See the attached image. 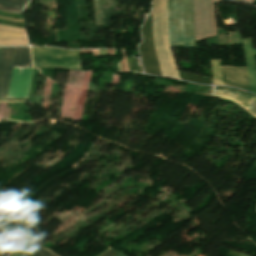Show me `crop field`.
I'll return each mask as SVG.
<instances>
[{"mask_svg":"<svg viewBox=\"0 0 256 256\" xmlns=\"http://www.w3.org/2000/svg\"><path fill=\"white\" fill-rule=\"evenodd\" d=\"M142 37L144 42L138 46L141 55L144 70L149 74L162 75L152 33V18L151 13L145 24L141 27Z\"/></svg>","mask_w":256,"mask_h":256,"instance_id":"5","label":"crop field"},{"mask_svg":"<svg viewBox=\"0 0 256 256\" xmlns=\"http://www.w3.org/2000/svg\"><path fill=\"white\" fill-rule=\"evenodd\" d=\"M33 68L13 67L7 98H27Z\"/></svg>","mask_w":256,"mask_h":256,"instance_id":"6","label":"crop field"},{"mask_svg":"<svg viewBox=\"0 0 256 256\" xmlns=\"http://www.w3.org/2000/svg\"><path fill=\"white\" fill-rule=\"evenodd\" d=\"M115 54H117L116 50H114Z\"/></svg>","mask_w":256,"mask_h":256,"instance_id":"22","label":"crop field"},{"mask_svg":"<svg viewBox=\"0 0 256 256\" xmlns=\"http://www.w3.org/2000/svg\"><path fill=\"white\" fill-rule=\"evenodd\" d=\"M213 95L233 99L248 110L255 97L232 89H216Z\"/></svg>","mask_w":256,"mask_h":256,"instance_id":"10","label":"crop field"},{"mask_svg":"<svg viewBox=\"0 0 256 256\" xmlns=\"http://www.w3.org/2000/svg\"><path fill=\"white\" fill-rule=\"evenodd\" d=\"M171 46L196 47L193 33L191 0H166Z\"/></svg>","mask_w":256,"mask_h":256,"instance_id":"1","label":"crop field"},{"mask_svg":"<svg viewBox=\"0 0 256 256\" xmlns=\"http://www.w3.org/2000/svg\"><path fill=\"white\" fill-rule=\"evenodd\" d=\"M246 66L248 71L250 89L252 93L256 94V67L254 55L256 50H253L252 38L242 39Z\"/></svg>","mask_w":256,"mask_h":256,"instance_id":"9","label":"crop field"},{"mask_svg":"<svg viewBox=\"0 0 256 256\" xmlns=\"http://www.w3.org/2000/svg\"><path fill=\"white\" fill-rule=\"evenodd\" d=\"M0 45H28L24 29L0 25Z\"/></svg>","mask_w":256,"mask_h":256,"instance_id":"8","label":"crop field"},{"mask_svg":"<svg viewBox=\"0 0 256 256\" xmlns=\"http://www.w3.org/2000/svg\"><path fill=\"white\" fill-rule=\"evenodd\" d=\"M152 18L154 42L162 74L179 79L175 58L168 41L165 0H153Z\"/></svg>","mask_w":256,"mask_h":256,"instance_id":"2","label":"crop field"},{"mask_svg":"<svg viewBox=\"0 0 256 256\" xmlns=\"http://www.w3.org/2000/svg\"><path fill=\"white\" fill-rule=\"evenodd\" d=\"M224 85L249 90L246 68L221 67Z\"/></svg>","mask_w":256,"mask_h":256,"instance_id":"7","label":"crop field"},{"mask_svg":"<svg viewBox=\"0 0 256 256\" xmlns=\"http://www.w3.org/2000/svg\"><path fill=\"white\" fill-rule=\"evenodd\" d=\"M36 249L37 246L21 240L11 256H32Z\"/></svg>","mask_w":256,"mask_h":256,"instance_id":"12","label":"crop field"},{"mask_svg":"<svg viewBox=\"0 0 256 256\" xmlns=\"http://www.w3.org/2000/svg\"><path fill=\"white\" fill-rule=\"evenodd\" d=\"M0 11L14 13V14H22V9L16 8L13 6L5 5L0 3Z\"/></svg>","mask_w":256,"mask_h":256,"instance_id":"14","label":"crop field"},{"mask_svg":"<svg viewBox=\"0 0 256 256\" xmlns=\"http://www.w3.org/2000/svg\"><path fill=\"white\" fill-rule=\"evenodd\" d=\"M33 66L79 69V50L31 47Z\"/></svg>","mask_w":256,"mask_h":256,"instance_id":"3","label":"crop field"},{"mask_svg":"<svg viewBox=\"0 0 256 256\" xmlns=\"http://www.w3.org/2000/svg\"><path fill=\"white\" fill-rule=\"evenodd\" d=\"M52 253L38 247L35 254L33 256H51Z\"/></svg>","mask_w":256,"mask_h":256,"instance_id":"16","label":"crop field"},{"mask_svg":"<svg viewBox=\"0 0 256 256\" xmlns=\"http://www.w3.org/2000/svg\"><path fill=\"white\" fill-rule=\"evenodd\" d=\"M19 238L5 232L0 228V256H7Z\"/></svg>","mask_w":256,"mask_h":256,"instance_id":"11","label":"crop field"},{"mask_svg":"<svg viewBox=\"0 0 256 256\" xmlns=\"http://www.w3.org/2000/svg\"><path fill=\"white\" fill-rule=\"evenodd\" d=\"M100 55L107 54L106 50H99Z\"/></svg>","mask_w":256,"mask_h":256,"instance_id":"19","label":"crop field"},{"mask_svg":"<svg viewBox=\"0 0 256 256\" xmlns=\"http://www.w3.org/2000/svg\"><path fill=\"white\" fill-rule=\"evenodd\" d=\"M117 70H120V62L117 64Z\"/></svg>","mask_w":256,"mask_h":256,"instance_id":"20","label":"crop field"},{"mask_svg":"<svg viewBox=\"0 0 256 256\" xmlns=\"http://www.w3.org/2000/svg\"><path fill=\"white\" fill-rule=\"evenodd\" d=\"M213 80L215 85H223L221 70H220V61H211Z\"/></svg>","mask_w":256,"mask_h":256,"instance_id":"13","label":"crop field"},{"mask_svg":"<svg viewBox=\"0 0 256 256\" xmlns=\"http://www.w3.org/2000/svg\"><path fill=\"white\" fill-rule=\"evenodd\" d=\"M252 114H254L256 116V102L254 101V103L251 105V107L249 108V110Z\"/></svg>","mask_w":256,"mask_h":256,"instance_id":"18","label":"crop field"},{"mask_svg":"<svg viewBox=\"0 0 256 256\" xmlns=\"http://www.w3.org/2000/svg\"><path fill=\"white\" fill-rule=\"evenodd\" d=\"M116 256H125V255H124V254L119 253V254H117Z\"/></svg>","mask_w":256,"mask_h":256,"instance_id":"21","label":"crop field"},{"mask_svg":"<svg viewBox=\"0 0 256 256\" xmlns=\"http://www.w3.org/2000/svg\"><path fill=\"white\" fill-rule=\"evenodd\" d=\"M118 252L114 251V250H108L106 251L105 253H103L102 255L100 256H114L116 255Z\"/></svg>","mask_w":256,"mask_h":256,"instance_id":"17","label":"crop field"},{"mask_svg":"<svg viewBox=\"0 0 256 256\" xmlns=\"http://www.w3.org/2000/svg\"><path fill=\"white\" fill-rule=\"evenodd\" d=\"M12 66L31 67L28 47H8L0 50V101H5Z\"/></svg>","mask_w":256,"mask_h":256,"instance_id":"4","label":"crop field"},{"mask_svg":"<svg viewBox=\"0 0 256 256\" xmlns=\"http://www.w3.org/2000/svg\"><path fill=\"white\" fill-rule=\"evenodd\" d=\"M29 0H0V2H4L9 5L23 7Z\"/></svg>","mask_w":256,"mask_h":256,"instance_id":"15","label":"crop field"}]
</instances>
